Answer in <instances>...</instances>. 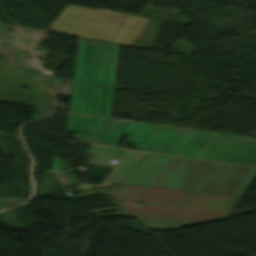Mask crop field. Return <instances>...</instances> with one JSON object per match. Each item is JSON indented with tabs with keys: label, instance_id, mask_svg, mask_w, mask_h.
I'll list each match as a JSON object with an SVG mask.
<instances>
[{
	"label": "crop field",
	"instance_id": "obj_3",
	"mask_svg": "<svg viewBox=\"0 0 256 256\" xmlns=\"http://www.w3.org/2000/svg\"><path fill=\"white\" fill-rule=\"evenodd\" d=\"M166 192V194H161ZM239 198L231 196L185 192L146 187L139 200L146 206L132 202H117L126 216L159 229L181 228L228 217ZM217 211V212H214Z\"/></svg>",
	"mask_w": 256,
	"mask_h": 256
},
{
	"label": "crop field",
	"instance_id": "obj_9",
	"mask_svg": "<svg viewBox=\"0 0 256 256\" xmlns=\"http://www.w3.org/2000/svg\"><path fill=\"white\" fill-rule=\"evenodd\" d=\"M256 176V175H255Z\"/></svg>",
	"mask_w": 256,
	"mask_h": 256
},
{
	"label": "crop field",
	"instance_id": "obj_8",
	"mask_svg": "<svg viewBox=\"0 0 256 256\" xmlns=\"http://www.w3.org/2000/svg\"><path fill=\"white\" fill-rule=\"evenodd\" d=\"M144 189L145 187L141 186L120 184L119 186L113 187L110 193L116 199L136 202L140 196V192H143Z\"/></svg>",
	"mask_w": 256,
	"mask_h": 256
},
{
	"label": "crop field",
	"instance_id": "obj_1",
	"mask_svg": "<svg viewBox=\"0 0 256 256\" xmlns=\"http://www.w3.org/2000/svg\"><path fill=\"white\" fill-rule=\"evenodd\" d=\"M117 49L80 40L68 130L83 142L118 146L126 134L140 150L198 158L215 132L72 114L109 117Z\"/></svg>",
	"mask_w": 256,
	"mask_h": 256
},
{
	"label": "crop field",
	"instance_id": "obj_7",
	"mask_svg": "<svg viewBox=\"0 0 256 256\" xmlns=\"http://www.w3.org/2000/svg\"><path fill=\"white\" fill-rule=\"evenodd\" d=\"M146 21L145 18L127 16L112 42L132 46Z\"/></svg>",
	"mask_w": 256,
	"mask_h": 256
},
{
	"label": "crop field",
	"instance_id": "obj_5",
	"mask_svg": "<svg viewBox=\"0 0 256 256\" xmlns=\"http://www.w3.org/2000/svg\"><path fill=\"white\" fill-rule=\"evenodd\" d=\"M199 158L256 166V138L215 133Z\"/></svg>",
	"mask_w": 256,
	"mask_h": 256
},
{
	"label": "crop field",
	"instance_id": "obj_2",
	"mask_svg": "<svg viewBox=\"0 0 256 256\" xmlns=\"http://www.w3.org/2000/svg\"><path fill=\"white\" fill-rule=\"evenodd\" d=\"M255 170L140 152L122 182L240 196Z\"/></svg>",
	"mask_w": 256,
	"mask_h": 256
},
{
	"label": "crop field",
	"instance_id": "obj_6",
	"mask_svg": "<svg viewBox=\"0 0 256 256\" xmlns=\"http://www.w3.org/2000/svg\"><path fill=\"white\" fill-rule=\"evenodd\" d=\"M88 153L95 154L89 164L114 167L107 181L119 182L127 168L130 166L137 151L94 146ZM111 159L119 160L118 163H110Z\"/></svg>",
	"mask_w": 256,
	"mask_h": 256
},
{
	"label": "crop field",
	"instance_id": "obj_4",
	"mask_svg": "<svg viewBox=\"0 0 256 256\" xmlns=\"http://www.w3.org/2000/svg\"><path fill=\"white\" fill-rule=\"evenodd\" d=\"M126 16L67 5L51 28L59 34L111 42Z\"/></svg>",
	"mask_w": 256,
	"mask_h": 256
}]
</instances>
